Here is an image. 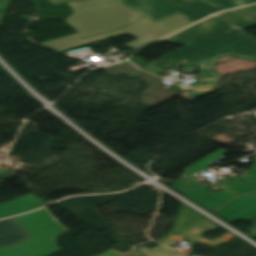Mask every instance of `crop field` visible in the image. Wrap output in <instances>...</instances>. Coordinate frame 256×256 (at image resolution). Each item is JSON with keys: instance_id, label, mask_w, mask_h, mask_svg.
I'll list each match as a JSON object with an SVG mask.
<instances>
[{"instance_id": "1", "label": "crop field", "mask_w": 256, "mask_h": 256, "mask_svg": "<svg viewBox=\"0 0 256 256\" xmlns=\"http://www.w3.org/2000/svg\"><path fill=\"white\" fill-rule=\"evenodd\" d=\"M231 23L240 29L255 26L256 5L215 15L165 39L185 46L141 68L155 74L175 63L194 72L200 66V79L191 90V100L206 95L214 91L221 77L210 71L219 57L229 54L256 60V39Z\"/></svg>"}, {"instance_id": "2", "label": "crop field", "mask_w": 256, "mask_h": 256, "mask_svg": "<svg viewBox=\"0 0 256 256\" xmlns=\"http://www.w3.org/2000/svg\"><path fill=\"white\" fill-rule=\"evenodd\" d=\"M191 21L185 19L184 17L178 15L177 13L155 23L145 17L110 33L97 35L89 38L83 39L79 33L61 37L58 39L50 40L47 42L39 43L60 51H65L73 47L129 34L138 39L125 44L126 46L137 50L151 42H154L173 31H176L188 24Z\"/></svg>"}, {"instance_id": "3", "label": "crop field", "mask_w": 256, "mask_h": 256, "mask_svg": "<svg viewBox=\"0 0 256 256\" xmlns=\"http://www.w3.org/2000/svg\"><path fill=\"white\" fill-rule=\"evenodd\" d=\"M70 5L74 13L67 21L83 38L113 31L143 16L117 0H86Z\"/></svg>"}, {"instance_id": "4", "label": "crop field", "mask_w": 256, "mask_h": 256, "mask_svg": "<svg viewBox=\"0 0 256 256\" xmlns=\"http://www.w3.org/2000/svg\"><path fill=\"white\" fill-rule=\"evenodd\" d=\"M32 238L14 246L0 248V256H50L60 250L56 238L68 231L45 208L13 217Z\"/></svg>"}, {"instance_id": "5", "label": "crop field", "mask_w": 256, "mask_h": 256, "mask_svg": "<svg viewBox=\"0 0 256 256\" xmlns=\"http://www.w3.org/2000/svg\"><path fill=\"white\" fill-rule=\"evenodd\" d=\"M128 7L157 22L175 12L191 21H197L222 8L205 0H119Z\"/></svg>"}, {"instance_id": "6", "label": "crop field", "mask_w": 256, "mask_h": 256, "mask_svg": "<svg viewBox=\"0 0 256 256\" xmlns=\"http://www.w3.org/2000/svg\"><path fill=\"white\" fill-rule=\"evenodd\" d=\"M199 225H203L204 227L198 230L192 237L189 233L198 227ZM218 228L214 224L210 223L209 221L205 220L204 218L200 217L190 209L186 208L185 206H181L180 215L178 220L170 233V235L158 242L168 245L172 241H181L183 239L190 240L186 246L192 247L196 242L206 244L209 247H216L224 242L231 240L233 235L226 234L223 237H218L212 241L206 242L202 239V236L205 231ZM206 233V232H205Z\"/></svg>"}, {"instance_id": "7", "label": "crop field", "mask_w": 256, "mask_h": 256, "mask_svg": "<svg viewBox=\"0 0 256 256\" xmlns=\"http://www.w3.org/2000/svg\"><path fill=\"white\" fill-rule=\"evenodd\" d=\"M48 204L43 199L31 193L11 202L0 205V218L33 210Z\"/></svg>"}, {"instance_id": "8", "label": "crop field", "mask_w": 256, "mask_h": 256, "mask_svg": "<svg viewBox=\"0 0 256 256\" xmlns=\"http://www.w3.org/2000/svg\"><path fill=\"white\" fill-rule=\"evenodd\" d=\"M29 237L12 218L0 221V247L17 244Z\"/></svg>"}, {"instance_id": "9", "label": "crop field", "mask_w": 256, "mask_h": 256, "mask_svg": "<svg viewBox=\"0 0 256 256\" xmlns=\"http://www.w3.org/2000/svg\"><path fill=\"white\" fill-rule=\"evenodd\" d=\"M139 250L143 252L146 256H182L161 245L155 246L150 249L143 246L139 248Z\"/></svg>"}, {"instance_id": "10", "label": "crop field", "mask_w": 256, "mask_h": 256, "mask_svg": "<svg viewBox=\"0 0 256 256\" xmlns=\"http://www.w3.org/2000/svg\"><path fill=\"white\" fill-rule=\"evenodd\" d=\"M217 5H220L226 9L250 4V3H255L256 0H209Z\"/></svg>"}, {"instance_id": "11", "label": "crop field", "mask_w": 256, "mask_h": 256, "mask_svg": "<svg viewBox=\"0 0 256 256\" xmlns=\"http://www.w3.org/2000/svg\"><path fill=\"white\" fill-rule=\"evenodd\" d=\"M245 221L252 223V227L247 228L248 235L256 238V217Z\"/></svg>"}, {"instance_id": "12", "label": "crop field", "mask_w": 256, "mask_h": 256, "mask_svg": "<svg viewBox=\"0 0 256 256\" xmlns=\"http://www.w3.org/2000/svg\"><path fill=\"white\" fill-rule=\"evenodd\" d=\"M129 252H131V251H129ZM129 252H127V253H129ZM127 253L122 254V253L112 249V250H110V251H108L106 253H103V254L99 255V256H123V255H125Z\"/></svg>"}, {"instance_id": "13", "label": "crop field", "mask_w": 256, "mask_h": 256, "mask_svg": "<svg viewBox=\"0 0 256 256\" xmlns=\"http://www.w3.org/2000/svg\"><path fill=\"white\" fill-rule=\"evenodd\" d=\"M10 0H0V15L4 14L6 6L9 5Z\"/></svg>"}, {"instance_id": "14", "label": "crop field", "mask_w": 256, "mask_h": 256, "mask_svg": "<svg viewBox=\"0 0 256 256\" xmlns=\"http://www.w3.org/2000/svg\"><path fill=\"white\" fill-rule=\"evenodd\" d=\"M49 1L54 3L55 5H59V4L71 3V2L81 1V0H49Z\"/></svg>"}, {"instance_id": "15", "label": "crop field", "mask_w": 256, "mask_h": 256, "mask_svg": "<svg viewBox=\"0 0 256 256\" xmlns=\"http://www.w3.org/2000/svg\"><path fill=\"white\" fill-rule=\"evenodd\" d=\"M8 174H10V173H8L7 171H5L4 169H2V168L0 167V178L6 176V175H8Z\"/></svg>"}, {"instance_id": "16", "label": "crop field", "mask_w": 256, "mask_h": 256, "mask_svg": "<svg viewBox=\"0 0 256 256\" xmlns=\"http://www.w3.org/2000/svg\"><path fill=\"white\" fill-rule=\"evenodd\" d=\"M2 17H3V16L0 17V21H1Z\"/></svg>"}]
</instances>
